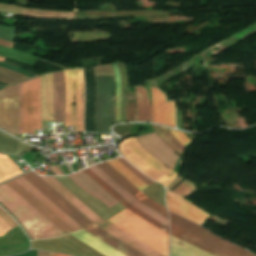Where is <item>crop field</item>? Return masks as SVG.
<instances>
[{
  "label": "crop field",
  "mask_w": 256,
  "mask_h": 256,
  "mask_svg": "<svg viewBox=\"0 0 256 256\" xmlns=\"http://www.w3.org/2000/svg\"><path fill=\"white\" fill-rule=\"evenodd\" d=\"M49 185H51L56 191H58L63 197H65L71 204H73L78 210H80L85 216H87L92 222L97 226L101 227L105 231L114 235L118 239L127 243L131 247L135 248L139 252L146 256H168V246H169V234L150 224L146 220L137 216L129 210H124L119 214L112 217L110 222H104L100 219L94 212H92L87 206H85L80 200H78L74 195H72L67 189H65L61 184H59L52 177H41Z\"/></svg>",
  "instance_id": "crop-field-1"
},
{
  "label": "crop field",
  "mask_w": 256,
  "mask_h": 256,
  "mask_svg": "<svg viewBox=\"0 0 256 256\" xmlns=\"http://www.w3.org/2000/svg\"><path fill=\"white\" fill-rule=\"evenodd\" d=\"M18 91L22 134L21 84L18 85ZM22 109L23 133H34V129L42 130L41 76L22 83ZM0 128L13 135L19 134L17 85L0 90Z\"/></svg>",
  "instance_id": "crop-field-2"
},
{
  "label": "crop field",
  "mask_w": 256,
  "mask_h": 256,
  "mask_svg": "<svg viewBox=\"0 0 256 256\" xmlns=\"http://www.w3.org/2000/svg\"><path fill=\"white\" fill-rule=\"evenodd\" d=\"M22 176L26 178L31 184H33L38 190H40L45 196H47L52 202H54L58 207H60L65 213H67L72 219H74L79 225H81L87 232L91 233L95 237L99 238L126 256H144L114 236L97 227L34 172H30Z\"/></svg>",
  "instance_id": "crop-field-3"
},
{
  "label": "crop field",
  "mask_w": 256,
  "mask_h": 256,
  "mask_svg": "<svg viewBox=\"0 0 256 256\" xmlns=\"http://www.w3.org/2000/svg\"><path fill=\"white\" fill-rule=\"evenodd\" d=\"M6 185H0V204L18 219L31 239L64 234Z\"/></svg>",
  "instance_id": "crop-field-4"
},
{
  "label": "crop field",
  "mask_w": 256,
  "mask_h": 256,
  "mask_svg": "<svg viewBox=\"0 0 256 256\" xmlns=\"http://www.w3.org/2000/svg\"><path fill=\"white\" fill-rule=\"evenodd\" d=\"M171 234L215 256H256L171 213Z\"/></svg>",
  "instance_id": "crop-field-5"
},
{
  "label": "crop field",
  "mask_w": 256,
  "mask_h": 256,
  "mask_svg": "<svg viewBox=\"0 0 256 256\" xmlns=\"http://www.w3.org/2000/svg\"><path fill=\"white\" fill-rule=\"evenodd\" d=\"M12 190L51 221L65 234L82 229L75 221L53 204L22 176L7 183Z\"/></svg>",
  "instance_id": "crop-field-6"
},
{
  "label": "crop field",
  "mask_w": 256,
  "mask_h": 256,
  "mask_svg": "<svg viewBox=\"0 0 256 256\" xmlns=\"http://www.w3.org/2000/svg\"><path fill=\"white\" fill-rule=\"evenodd\" d=\"M98 167V166H97ZM93 166L89 168L93 171L97 176H99L103 181H105L109 186H111L115 191H117L121 196H123L127 201H129L132 205L149 215L151 218L168 228V219L161 216L157 212L153 211L149 207L145 206L138 200H136L132 195H130L126 190H124L121 186H119L115 181H113L110 177H108L105 173H103L99 168ZM89 169L83 170L90 178H92L96 183H98L103 189H105L109 194H111L115 199H117L122 205H124L127 209L146 219L150 223L159 227L160 229L168 232V229L151 219L149 216L132 206L129 202H127L123 197H121L117 192H115L111 187H109L105 182H103L99 177H97L93 172Z\"/></svg>",
  "instance_id": "crop-field-7"
},
{
  "label": "crop field",
  "mask_w": 256,
  "mask_h": 256,
  "mask_svg": "<svg viewBox=\"0 0 256 256\" xmlns=\"http://www.w3.org/2000/svg\"><path fill=\"white\" fill-rule=\"evenodd\" d=\"M122 154L151 179L167 187L176 177L177 173L169 170L149 153H147L134 137L124 139L119 143Z\"/></svg>",
  "instance_id": "crop-field-8"
},
{
  "label": "crop field",
  "mask_w": 256,
  "mask_h": 256,
  "mask_svg": "<svg viewBox=\"0 0 256 256\" xmlns=\"http://www.w3.org/2000/svg\"><path fill=\"white\" fill-rule=\"evenodd\" d=\"M66 84L64 126H73L74 80L76 83L75 132L83 131L84 81L81 69L64 71Z\"/></svg>",
  "instance_id": "crop-field-9"
},
{
  "label": "crop field",
  "mask_w": 256,
  "mask_h": 256,
  "mask_svg": "<svg viewBox=\"0 0 256 256\" xmlns=\"http://www.w3.org/2000/svg\"><path fill=\"white\" fill-rule=\"evenodd\" d=\"M43 120L53 121V73L42 76ZM65 84L62 72L54 73V121H63Z\"/></svg>",
  "instance_id": "crop-field-10"
},
{
  "label": "crop field",
  "mask_w": 256,
  "mask_h": 256,
  "mask_svg": "<svg viewBox=\"0 0 256 256\" xmlns=\"http://www.w3.org/2000/svg\"><path fill=\"white\" fill-rule=\"evenodd\" d=\"M136 139L154 158L169 169L174 170L179 155L164 144L156 132Z\"/></svg>",
  "instance_id": "crop-field-11"
},
{
  "label": "crop field",
  "mask_w": 256,
  "mask_h": 256,
  "mask_svg": "<svg viewBox=\"0 0 256 256\" xmlns=\"http://www.w3.org/2000/svg\"><path fill=\"white\" fill-rule=\"evenodd\" d=\"M166 204L169 211L201 226L210 215L193 206L186 200L166 191Z\"/></svg>",
  "instance_id": "crop-field-12"
},
{
  "label": "crop field",
  "mask_w": 256,
  "mask_h": 256,
  "mask_svg": "<svg viewBox=\"0 0 256 256\" xmlns=\"http://www.w3.org/2000/svg\"><path fill=\"white\" fill-rule=\"evenodd\" d=\"M153 122L175 127L174 102H166V95L151 87Z\"/></svg>",
  "instance_id": "crop-field-13"
},
{
  "label": "crop field",
  "mask_w": 256,
  "mask_h": 256,
  "mask_svg": "<svg viewBox=\"0 0 256 256\" xmlns=\"http://www.w3.org/2000/svg\"><path fill=\"white\" fill-rule=\"evenodd\" d=\"M97 166L103 172H105L108 176H110L113 180H115L119 185H121L124 189H126L129 193H131L135 198H137L139 201H141L142 203L154 209L161 215L168 218L166 208L162 207L161 205L147 198L144 194H142L138 189H136L131 183H129L124 177H122L117 171H115L106 162L99 164Z\"/></svg>",
  "instance_id": "crop-field-14"
},
{
  "label": "crop field",
  "mask_w": 256,
  "mask_h": 256,
  "mask_svg": "<svg viewBox=\"0 0 256 256\" xmlns=\"http://www.w3.org/2000/svg\"><path fill=\"white\" fill-rule=\"evenodd\" d=\"M69 177L84 191L88 192L90 195L99 198L109 207L119 203L111 195H109L105 190H103L99 185H97L92 179H90L82 171L69 175Z\"/></svg>",
  "instance_id": "crop-field-15"
},
{
  "label": "crop field",
  "mask_w": 256,
  "mask_h": 256,
  "mask_svg": "<svg viewBox=\"0 0 256 256\" xmlns=\"http://www.w3.org/2000/svg\"><path fill=\"white\" fill-rule=\"evenodd\" d=\"M70 235L83 242L84 244L88 245L89 247L93 248L94 250L98 251L99 253L103 254L104 256H124L120 252L116 251L115 249L111 248L110 246L95 238L91 234L87 233L85 230Z\"/></svg>",
  "instance_id": "crop-field-16"
},
{
  "label": "crop field",
  "mask_w": 256,
  "mask_h": 256,
  "mask_svg": "<svg viewBox=\"0 0 256 256\" xmlns=\"http://www.w3.org/2000/svg\"><path fill=\"white\" fill-rule=\"evenodd\" d=\"M170 256H213L171 235Z\"/></svg>",
  "instance_id": "crop-field-17"
},
{
  "label": "crop field",
  "mask_w": 256,
  "mask_h": 256,
  "mask_svg": "<svg viewBox=\"0 0 256 256\" xmlns=\"http://www.w3.org/2000/svg\"><path fill=\"white\" fill-rule=\"evenodd\" d=\"M137 94V121L152 122L151 108L147 92L142 87H135Z\"/></svg>",
  "instance_id": "crop-field-18"
},
{
  "label": "crop field",
  "mask_w": 256,
  "mask_h": 256,
  "mask_svg": "<svg viewBox=\"0 0 256 256\" xmlns=\"http://www.w3.org/2000/svg\"><path fill=\"white\" fill-rule=\"evenodd\" d=\"M115 170H117L122 176H124L128 181H130L135 187L140 191L148 187L140 179H138L133 173H131L126 167H124L116 159L107 161Z\"/></svg>",
  "instance_id": "crop-field-19"
},
{
  "label": "crop field",
  "mask_w": 256,
  "mask_h": 256,
  "mask_svg": "<svg viewBox=\"0 0 256 256\" xmlns=\"http://www.w3.org/2000/svg\"><path fill=\"white\" fill-rule=\"evenodd\" d=\"M2 155H0V182L22 173L7 157Z\"/></svg>",
  "instance_id": "crop-field-20"
},
{
  "label": "crop field",
  "mask_w": 256,
  "mask_h": 256,
  "mask_svg": "<svg viewBox=\"0 0 256 256\" xmlns=\"http://www.w3.org/2000/svg\"><path fill=\"white\" fill-rule=\"evenodd\" d=\"M30 79L12 70L0 67V81L12 85L14 83Z\"/></svg>",
  "instance_id": "crop-field-21"
},
{
  "label": "crop field",
  "mask_w": 256,
  "mask_h": 256,
  "mask_svg": "<svg viewBox=\"0 0 256 256\" xmlns=\"http://www.w3.org/2000/svg\"><path fill=\"white\" fill-rule=\"evenodd\" d=\"M18 224L0 207V235L10 231Z\"/></svg>",
  "instance_id": "crop-field-22"
},
{
  "label": "crop field",
  "mask_w": 256,
  "mask_h": 256,
  "mask_svg": "<svg viewBox=\"0 0 256 256\" xmlns=\"http://www.w3.org/2000/svg\"><path fill=\"white\" fill-rule=\"evenodd\" d=\"M115 80H116V116H117V123L121 122V115H120V74L118 71L117 64H112Z\"/></svg>",
  "instance_id": "crop-field-23"
},
{
  "label": "crop field",
  "mask_w": 256,
  "mask_h": 256,
  "mask_svg": "<svg viewBox=\"0 0 256 256\" xmlns=\"http://www.w3.org/2000/svg\"><path fill=\"white\" fill-rule=\"evenodd\" d=\"M117 160L120 161L124 166H126L131 172H133L138 178H140L148 186L154 182V181L146 178L143 174H141L136 168H134L131 164H129L123 158H118Z\"/></svg>",
  "instance_id": "crop-field-24"
},
{
  "label": "crop field",
  "mask_w": 256,
  "mask_h": 256,
  "mask_svg": "<svg viewBox=\"0 0 256 256\" xmlns=\"http://www.w3.org/2000/svg\"><path fill=\"white\" fill-rule=\"evenodd\" d=\"M15 32H16L15 28L0 25V38L1 39H5V40L14 42Z\"/></svg>",
  "instance_id": "crop-field-25"
},
{
  "label": "crop field",
  "mask_w": 256,
  "mask_h": 256,
  "mask_svg": "<svg viewBox=\"0 0 256 256\" xmlns=\"http://www.w3.org/2000/svg\"><path fill=\"white\" fill-rule=\"evenodd\" d=\"M195 188L191 185H189L186 181L180 184L176 189L173 190V192L181 195L186 196L192 192H194Z\"/></svg>",
  "instance_id": "crop-field-26"
},
{
  "label": "crop field",
  "mask_w": 256,
  "mask_h": 256,
  "mask_svg": "<svg viewBox=\"0 0 256 256\" xmlns=\"http://www.w3.org/2000/svg\"><path fill=\"white\" fill-rule=\"evenodd\" d=\"M173 136L184 146L188 147L191 144V140L183 133L179 131L170 130Z\"/></svg>",
  "instance_id": "crop-field-27"
},
{
  "label": "crop field",
  "mask_w": 256,
  "mask_h": 256,
  "mask_svg": "<svg viewBox=\"0 0 256 256\" xmlns=\"http://www.w3.org/2000/svg\"><path fill=\"white\" fill-rule=\"evenodd\" d=\"M135 121L134 103L127 102V122Z\"/></svg>",
  "instance_id": "crop-field-28"
},
{
  "label": "crop field",
  "mask_w": 256,
  "mask_h": 256,
  "mask_svg": "<svg viewBox=\"0 0 256 256\" xmlns=\"http://www.w3.org/2000/svg\"><path fill=\"white\" fill-rule=\"evenodd\" d=\"M0 66H1V67H5V68H9V69H12V70H15V71H17V72H19V73H22V74H24V75H26V76H29V77H31V78H33V77L36 76V75H34V74H31V73H29V72H26V71H24V70H21V69H19V68L13 67V66H11V65H8V64L2 63V62H0Z\"/></svg>",
  "instance_id": "crop-field-29"
},
{
  "label": "crop field",
  "mask_w": 256,
  "mask_h": 256,
  "mask_svg": "<svg viewBox=\"0 0 256 256\" xmlns=\"http://www.w3.org/2000/svg\"><path fill=\"white\" fill-rule=\"evenodd\" d=\"M16 256H37V251L35 250H30L24 254H21V255H16Z\"/></svg>",
  "instance_id": "crop-field-30"
},
{
  "label": "crop field",
  "mask_w": 256,
  "mask_h": 256,
  "mask_svg": "<svg viewBox=\"0 0 256 256\" xmlns=\"http://www.w3.org/2000/svg\"><path fill=\"white\" fill-rule=\"evenodd\" d=\"M0 45L13 49L14 43L0 40Z\"/></svg>",
  "instance_id": "crop-field-31"
},
{
  "label": "crop field",
  "mask_w": 256,
  "mask_h": 256,
  "mask_svg": "<svg viewBox=\"0 0 256 256\" xmlns=\"http://www.w3.org/2000/svg\"><path fill=\"white\" fill-rule=\"evenodd\" d=\"M49 168L52 170V172L55 175H61L60 171L58 170V168L56 166H49Z\"/></svg>",
  "instance_id": "crop-field-32"
},
{
  "label": "crop field",
  "mask_w": 256,
  "mask_h": 256,
  "mask_svg": "<svg viewBox=\"0 0 256 256\" xmlns=\"http://www.w3.org/2000/svg\"><path fill=\"white\" fill-rule=\"evenodd\" d=\"M38 256H53V253L38 251Z\"/></svg>",
  "instance_id": "crop-field-33"
},
{
  "label": "crop field",
  "mask_w": 256,
  "mask_h": 256,
  "mask_svg": "<svg viewBox=\"0 0 256 256\" xmlns=\"http://www.w3.org/2000/svg\"><path fill=\"white\" fill-rule=\"evenodd\" d=\"M27 163H28L32 168L36 167V164H35L32 160L27 161Z\"/></svg>",
  "instance_id": "crop-field-34"
},
{
  "label": "crop field",
  "mask_w": 256,
  "mask_h": 256,
  "mask_svg": "<svg viewBox=\"0 0 256 256\" xmlns=\"http://www.w3.org/2000/svg\"><path fill=\"white\" fill-rule=\"evenodd\" d=\"M54 256H68V255L54 253Z\"/></svg>",
  "instance_id": "crop-field-35"
},
{
  "label": "crop field",
  "mask_w": 256,
  "mask_h": 256,
  "mask_svg": "<svg viewBox=\"0 0 256 256\" xmlns=\"http://www.w3.org/2000/svg\"><path fill=\"white\" fill-rule=\"evenodd\" d=\"M3 60H4V58H1V57H0V61H3Z\"/></svg>",
  "instance_id": "crop-field-36"
},
{
  "label": "crop field",
  "mask_w": 256,
  "mask_h": 256,
  "mask_svg": "<svg viewBox=\"0 0 256 256\" xmlns=\"http://www.w3.org/2000/svg\"><path fill=\"white\" fill-rule=\"evenodd\" d=\"M3 87H0V89H2Z\"/></svg>",
  "instance_id": "crop-field-37"
}]
</instances>
